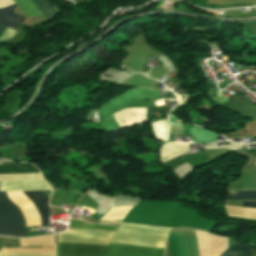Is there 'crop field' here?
Segmentation results:
<instances>
[{"instance_id":"5","label":"crop field","mask_w":256,"mask_h":256,"mask_svg":"<svg viewBox=\"0 0 256 256\" xmlns=\"http://www.w3.org/2000/svg\"><path fill=\"white\" fill-rule=\"evenodd\" d=\"M14 1L21 7V9L26 13L28 17L42 15L41 14L42 12L43 15L47 18V20L50 21L58 14V12L48 2V0H31L41 12L36 8V6L30 0H14ZM44 16L43 18L45 19Z\"/></svg>"},{"instance_id":"2","label":"crop field","mask_w":256,"mask_h":256,"mask_svg":"<svg viewBox=\"0 0 256 256\" xmlns=\"http://www.w3.org/2000/svg\"><path fill=\"white\" fill-rule=\"evenodd\" d=\"M169 229L121 224L112 241L165 248ZM111 242L105 256H164L165 249Z\"/></svg>"},{"instance_id":"13","label":"crop field","mask_w":256,"mask_h":256,"mask_svg":"<svg viewBox=\"0 0 256 256\" xmlns=\"http://www.w3.org/2000/svg\"><path fill=\"white\" fill-rule=\"evenodd\" d=\"M226 200H256V191H227Z\"/></svg>"},{"instance_id":"4","label":"crop field","mask_w":256,"mask_h":256,"mask_svg":"<svg viewBox=\"0 0 256 256\" xmlns=\"http://www.w3.org/2000/svg\"><path fill=\"white\" fill-rule=\"evenodd\" d=\"M0 216L24 219L19 208L14 205L5 192H0ZM0 217V234L25 237V220Z\"/></svg>"},{"instance_id":"1","label":"crop field","mask_w":256,"mask_h":256,"mask_svg":"<svg viewBox=\"0 0 256 256\" xmlns=\"http://www.w3.org/2000/svg\"><path fill=\"white\" fill-rule=\"evenodd\" d=\"M39 172L38 169L30 164H14L0 166V174L11 173H31ZM31 190H51L45 180H29V181H11L2 182L0 191H31ZM11 201L16 204L23 212L26 219V226L49 225V207L47 205L48 197L42 191L32 192H7Z\"/></svg>"},{"instance_id":"7","label":"crop field","mask_w":256,"mask_h":256,"mask_svg":"<svg viewBox=\"0 0 256 256\" xmlns=\"http://www.w3.org/2000/svg\"><path fill=\"white\" fill-rule=\"evenodd\" d=\"M188 145L185 143H164L160 148L162 163L183 153L189 152Z\"/></svg>"},{"instance_id":"10","label":"crop field","mask_w":256,"mask_h":256,"mask_svg":"<svg viewBox=\"0 0 256 256\" xmlns=\"http://www.w3.org/2000/svg\"><path fill=\"white\" fill-rule=\"evenodd\" d=\"M157 138L163 141H169V130L171 124L166 120L151 123Z\"/></svg>"},{"instance_id":"14","label":"crop field","mask_w":256,"mask_h":256,"mask_svg":"<svg viewBox=\"0 0 256 256\" xmlns=\"http://www.w3.org/2000/svg\"><path fill=\"white\" fill-rule=\"evenodd\" d=\"M19 90H12L10 93L7 94V96L4 99L3 109L7 112L12 108V106L15 104L17 97L19 95Z\"/></svg>"},{"instance_id":"8","label":"crop field","mask_w":256,"mask_h":256,"mask_svg":"<svg viewBox=\"0 0 256 256\" xmlns=\"http://www.w3.org/2000/svg\"><path fill=\"white\" fill-rule=\"evenodd\" d=\"M15 5L0 10V25L14 28L26 17L14 13Z\"/></svg>"},{"instance_id":"15","label":"crop field","mask_w":256,"mask_h":256,"mask_svg":"<svg viewBox=\"0 0 256 256\" xmlns=\"http://www.w3.org/2000/svg\"><path fill=\"white\" fill-rule=\"evenodd\" d=\"M15 2L12 0H0V8L5 7L7 5L14 4Z\"/></svg>"},{"instance_id":"12","label":"crop field","mask_w":256,"mask_h":256,"mask_svg":"<svg viewBox=\"0 0 256 256\" xmlns=\"http://www.w3.org/2000/svg\"><path fill=\"white\" fill-rule=\"evenodd\" d=\"M132 207L128 206H123V207H116V208H111L109 213L105 215L103 220H118V219H123L124 216L127 214V212L131 209ZM101 223H119L120 221L117 222H102Z\"/></svg>"},{"instance_id":"16","label":"crop field","mask_w":256,"mask_h":256,"mask_svg":"<svg viewBox=\"0 0 256 256\" xmlns=\"http://www.w3.org/2000/svg\"><path fill=\"white\" fill-rule=\"evenodd\" d=\"M243 207L256 208V202H243Z\"/></svg>"},{"instance_id":"17","label":"crop field","mask_w":256,"mask_h":256,"mask_svg":"<svg viewBox=\"0 0 256 256\" xmlns=\"http://www.w3.org/2000/svg\"><path fill=\"white\" fill-rule=\"evenodd\" d=\"M4 29H5V27L0 26V35H1V33L4 31Z\"/></svg>"},{"instance_id":"6","label":"crop field","mask_w":256,"mask_h":256,"mask_svg":"<svg viewBox=\"0 0 256 256\" xmlns=\"http://www.w3.org/2000/svg\"><path fill=\"white\" fill-rule=\"evenodd\" d=\"M146 109H124L113 114L119 127L146 120Z\"/></svg>"},{"instance_id":"3","label":"crop field","mask_w":256,"mask_h":256,"mask_svg":"<svg viewBox=\"0 0 256 256\" xmlns=\"http://www.w3.org/2000/svg\"><path fill=\"white\" fill-rule=\"evenodd\" d=\"M115 232L68 229L59 234L57 242L83 243L108 246ZM57 243V255L65 256H103L108 247Z\"/></svg>"},{"instance_id":"11","label":"crop field","mask_w":256,"mask_h":256,"mask_svg":"<svg viewBox=\"0 0 256 256\" xmlns=\"http://www.w3.org/2000/svg\"><path fill=\"white\" fill-rule=\"evenodd\" d=\"M48 251H55V246L4 248L0 253L48 252Z\"/></svg>"},{"instance_id":"9","label":"crop field","mask_w":256,"mask_h":256,"mask_svg":"<svg viewBox=\"0 0 256 256\" xmlns=\"http://www.w3.org/2000/svg\"><path fill=\"white\" fill-rule=\"evenodd\" d=\"M250 250H256V245L235 242L222 256H250ZM251 256H256V251H251Z\"/></svg>"}]
</instances>
